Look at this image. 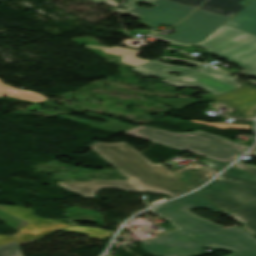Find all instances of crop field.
I'll return each mask as SVG.
<instances>
[{"label": "crop field", "instance_id": "1", "mask_svg": "<svg viewBox=\"0 0 256 256\" xmlns=\"http://www.w3.org/2000/svg\"><path fill=\"white\" fill-rule=\"evenodd\" d=\"M201 207L221 212L197 192L151 209L179 230L166 232L153 241H141L142 249L154 256H196L204 254L202 246L234 252L227 256H256V239L242 227L225 230L204 220L190 209Z\"/></svg>", "mask_w": 256, "mask_h": 256}, {"label": "crop field", "instance_id": "2", "mask_svg": "<svg viewBox=\"0 0 256 256\" xmlns=\"http://www.w3.org/2000/svg\"><path fill=\"white\" fill-rule=\"evenodd\" d=\"M98 155L115 166L129 180H93L91 182H59V186L83 197L93 198L101 188H121L125 191H150L169 195L171 198L190 190L163 164H152L125 142L89 145ZM114 167V168H115Z\"/></svg>", "mask_w": 256, "mask_h": 256}, {"label": "crop field", "instance_id": "3", "mask_svg": "<svg viewBox=\"0 0 256 256\" xmlns=\"http://www.w3.org/2000/svg\"><path fill=\"white\" fill-rule=\"evenodd\" d=\"M139 138L151 140L166 146L188 150L200 156L224 163H231L240 156L248 146L203 131L192 133H170L147 125L125 131Z\"/></svg>", "mask_w": 256, "mask_h": 256}, {"label": "crop field", "instance_id": "4", "mask_svg": "<svg viewBox=\"0 0 256 256\" xmlns=\"http://www.w3.org/2000/svg\"><path fill=\"white\" fill-rule=\"evenodd\" d=\"M194 46L204 47L213 55L245 69L238 74L256 78V36L224 24L202 43Z\"/></svg>", "mask_w": 256, "mask_h": 256}, {"label": "crop field", "instance_id": "5", "mask_svg": "<svg viewBox=\"0 0 256 256\" xmlns=\"http://www.w3.org/2000/svg\"><path fill=\"white\" fill-rule=\"evenodd\" d=\"M0 209L29 222V225L19 229V233L11 237L0 235V245L16 240L19 245L30 243L34 240L40 239L52 232H76L86 234L92 238L105 239V237H111L113 232L105 231L102 229L86 228L81 226H70L66 223L60 222L62 220H82L93 221L91 215L77 216L68 219L53 220V219H41L33 215L34 210L22 208L18 206H6L0 205ZM87 236V237H88Z\"/></svg>", "mask_w": 256, "mask_h": 256}, {"label": "crop field", "instance_id": "6", "mask_svg": "<svg viewBox=\"0 0 256 256\" xmlns=\"http://www.w3.org/2000/svg\"><path fill=\"white\" fill-rule=\"evenodd\" d=\"M198 193L229 214L256 201V179L232 166Z\"/></svg>", "mask_w": 256, "mask_h": 256}, {"label": "crop field", "instance_id": "7", "mask_svg": "<svg viewBox=\"0 0 256 256\" xmlns=\"http://www.w3.org/2000/svg\"><path fill=\"white\" fill-rule=\"evenodd\" d=\"M229 19L230 17L198 9L182 23L175 26L177 32L172 36L160 34L150 36L165 42L190 46L202 42Z\"/></svg>", "mask_w": 256, "mask_h": 256}, {"label": "crop field", "instance_id": "8", "mask_svg": "<svg viewBox=\"0 0 256 256\" xmlns=\"http://www.w3.org/2000/svg\"><path fill=\"white\" fill-rule=\"evenodd\" d=\"M182 74L183 75L178 77L167 78L162 82L173 86L199 87L214 94L202 96L206 98H211L215 95L242 86L235 82L237 78L230 77V75L211 67L199 68L196 69V71H188Z\"/></svg>", "mask_w": 256, "mask_h": 256}, {"label": "crop field", "instance_id": "9", "mask_svg": "<svg viewBox=\"0 0 256 256\" xmlns=\"http://www.w3.org/2000/svg\"><path fill=\"white\" fill-rule=\"evenodd\" d=\"M151 4L155 6L153 9L136 7L121 14L137 17L141 19L139 23L148 27H157L160 25L174 26L195 10V8L166 0H156Z\"/></svg>", "mask_w": 256, "mask_h": 256}, {"label": "crop field", "instance_id": "10", "mask_svg": "<svg viewBox=\"0 0 256 256\" xmlns=\"http://www.w3.org/2000/svg\"><path fill=\"white\" fill-rule=\"evenodd\" d=\"M211 99L228 103L245 118H254L256 115V88L251 86H242Z\"/></svg>", "mask_w": 256, "mask_h": 256}, {"label": "crop field", "instance_id": "11", "mask_svg": "<svg viewBox=\"0 0 256 256\" xmlns=\"http://www.w3.org/2000/svg\"><path fill=\"white\" fill-rule=\"evenodd\" d=\"M161 58H169V59H174V60L197 64V65L203 64V63H199V62H195V61H191V60L179 59V58L168 57V56H163ZM187 69H190V68L175 67V66H171L169 64L161 63V62L154 60V61L144 63L142 65H139V66L133 68L132 70L142 74L143 76H156V77L165 78V77L171 76V75H169V73H179V72H182Z\"/></svg>", "mask_w": 256, "mask_h": 256}, {"label": "crop field", "instance_id": "12", "mask_svg": "<svg viewBox=\"0 0 256 256\" xmlns=\"http://www.w3.org/2000/svg\"><path fill=\"white\" fill-rule=\"evenodd\" d=\"M174 173L194 189L208 181L215 174L195 162L174 171Z\"/></svg>", "mask_w": 256, "mask_h": 256}, {"label": "crop field", "instance_id": "13", "mask_svg": "<svg viewBox=\"0 0 256 256\" xmlns=\"http://www.w3.org/2000/svg\"><path fill=\"white\" fill-rule=\"evenodd\" d=\"M225 24L256 35V0L249 3L241 12Z\"/></svg>", "mask_w": 256, "mask_h": 256}, {"label": "crop field", "instance_id": "14", "mask_svg": "<svg viewBox=\"0 0 256 256\" xmlns=\"http://www.w3.org/2000/svg\"><path fill=\"white\" fill-rule=\"evenodd\" d=\"M251 1L252 0H208L200 9L232 17Z\"/></svg>", "mask_w": 256, "mask_h": 256}, {"label": "crop field", "instance_id": "15", "mask_svg": "<svg viewBox=\"0 0 256 256\" xmlns=\"http://www.w3.org/2000/svg\"><path fill=\"white\" fill-rule=\"evenodd\" d=\"M244 223L243 228L256 237V202L228 215Z\"/></svg>", "mask_w": 256, "mask_h": 256}, {"label": "crop field", "instance_id": "16", "mask_svg": "<svg viewBox=\"0 0 256 256\" xmlns=\"http://www.w3.org/2000/svg\"><path fill=\"white\" fill-rule=\"evenodd\" d=\"M41 104L47 105V106H50V107H53V108H56V109H60V110H69L67 108H63L61 106L56 105L54 102H52L50 100L41 102ZM70 111H72V110H70ZM83 114H87V115H90V116L101 118V119L107 120L109 122L99 124V123H96V122H93V121H89V120H86V119L73 117V116H69V115H59V118L71 120V121H74V122H77V123H80V124H83V125H86V126H90V127H93V128H98V127L107 125L109 123L119 121V120H116V119H112V118H109V117H106V116H102V115H98V114H94V113H90V112H86V113H83Z\"/></svg>", "mask_w": 256, "mask_h": 256}, {"label": "crop field", "instance_id": "17", "mask_svg": "<svg viewBox=\"0 0 256 256\" xmlns=\"http://www.w3.org/2000/svg\"><path fill=\"white\" fill-rule=\"evenodd\" d=\"M2 81L3 80L0 79V97L3 95H8L14 98L30 100L34 102H41L47 100V98L43 97L41 94L33 93L26 90H18L8 85L1 84Z\"/></svg>", "mask_w": 256, "mask_h": 256}, {"label": "crop field", "instance_id": "18", "mask_svg": "<svg viewBox=\"0 0 256 256\" xmlns=\"http://www.w3.org/2000/svg\"><path fill=\"white\" fill-rule=\"evenodd\" d=\"M149 98L156 101L160 99L159 102H162L164 104L170 105L175 108H183L195 102V98H162V97H157V98L149 97ZM177 105H179V107H176Z\"/></svg>", "mask_w": 256, "mask_h": 256}, {"label": "crop field", "instance_id": "19", "mask_svg": "<svg viewBox=\"0 0 256 256\" xmlns=\"http://www.w3.org/2000/svg\"><path fill=\"white\" fill-rule=\"evenodd\" d=\"M20 246L16 241L0 246V256H21Z\"/></svg>", "mask_w": 256, "mask_h": 256}, {"label": "crop field", "instance_id": "20", "mask_svg": "<svg viewBox=\"0 0 256 256\" xmlns=\"http://www.w3.org/2000/svg\"><path fill=\"white\" fill-rule=\"evenodd\" d=\"M141 52H142V51H140V50L133 51V52H131V53H129V54L123 56V57L121 58V62H122V63H125V64H129V65L137 66V65H139V64H142V63H144V62L149 61V60H144V59H141V58L136 57V55H137L138 53H141Z\"/></svg>", "mask_w": 256, "mask_h": 256}, {"label": "crop field", "instance_id": "21", "mask_svg": "<svg viewBox=\"0 0 256 256\" xmlns=\"http://www.w3.org/2000/svg\"><path fill=\"white\" fill-rule=\"evenodd\" d=\"M132 127H134V126H130V125H127L125 123L119 122L117 124H114V125H111V126H108V127L100 128L99 130H103V131L118 134V133H120L122 131H125L127 129H130Z\"/></svg>", "mask_w": 256, "mask_h": 256}, {"label": "crop field", "instance_id": "22", "mask_svg": "<svg viewBox=\"0 0 256 256\" xmlns=\"http://www.w3.org/2000/svg\"><path fill=\"white\" fill-rule=\"evenodd\" d=\"M191 121L196 122V123L205 124V125L220 127L223 129H228V128L251 129L247 125H237V124H227V123H208V122H199V121H195V120H191Z\"/></svg>", "mask_w": 256, "mask_h": 256}, {"label": "crop field", "instance_id": "23", "mask_svg": "<svg viewBox=\"0 0 256 256\" xmlns=\"http://www.w3.org/2000/svg\"><path fill=\"white\" fill-rule=\"evenodd\" d=\"M85 46L86 47H92V48H98V49H104L105 53L116 54V55H122V54L132 50V49H127V48H121V47H118V46H115V47H112V48L91 46V45H85Z\"/></svg>", "mask_w": 256, "mask_h": 256}, {"label": "crop field", "instance_id": "24", "mask_svg": "<svg viewBox=\"0 0 256 256\" xmlns=\"http://www.w3.org/2000/svg\"><path fill=\"white\" fill-rule=\"evenodd\" d=\"M233 166H235V167L245 171L246 173L256 177V166L246 165V164L242 163L241 161L237 162Z\"/></svg>", "mask_w": 256, "mask_h": 256}, {"label": "crop field", "instance_id": "25", "mask_svg": "<svg viewBox=\"0 0 256 256\" xmlns=\"http://www.w3.org/2000/svg\"><path fill=\"white\" fill-rule=\"evenodd\" d=\"M176 3L188 5L197 8L199 5H201L205 0H170Z\"/></svg>", "mask_w": 256, "mask_h": 256}, {"label": "crop field", "instance_id": "26", "mask_svg": "<svg viewBox=\"0 0 256 256\" xmlns=\"http://www.w3.org/2000/svg\"><path fill=\"white\" fill-rule=\"evenodd\" d=\"M135 1H141V2H144V3H148V2H151L153 0H127L126 4L124 6L127 7L128 9L134 8V7L137 6L134 3ZM128 9H119L118 12L121 13V12L126 11Z\"/></svg>", "mask_w": 256, "mask_h": 256}, {"label": "crop field", "instance_id": "27", "mask_svg": "<svg viewBox=\"0 0 256 256\" xmlns=\"http://www.w3.org/2000/svg\"><path fill=\"white\" fill-rule=\"evenodd\" d=\"M90 1L96 2V3H98V4H100V3H105V4H109V5H113V6L118 5V3H114V2H111V1H109V0H90Z\"/></svg>", "mask_w": 256, "mask_h": 256}, {"label": "crop field", "instance_id": "28", "mask_svg": "<svg viewBox=\"0 0 256 256\" xmlns=\"http://www.w3.org/2000/svg\"><path fill=\"white\" fill-rule=\"evenodd\" d=\"M135 32L141 33V34L152 33V32L144 31V30H140V29L135 30Z\"/></svg>", "mask_w": 256, "mask_h": 256}, {"label": "crop field", "instance_id": "29", "mask_svg": "<svg viewBox=\"0 0 256 256\" xmlns=\"http://www.w3.org/2000/svg\"><path fill=\"white\" fill-rule=\"evenodd\" d=\"M250 153H252V154H256V147L255 148H253L252 150H251V152Z\"/></svg>", "mask_w": 256, "mask_h": 256}, {"label": "crop field", "instance_id": "30", "mask_svg": "<svg viewBox=\"0 0 256 256\" xmlns=\"http://www.w3.org/2000/svg\"><path fill=\"white\" fill-rule=\"evenodd\" d=\"M111 1H114V2H116L115 0H111Z\"/></svg>", "mask_w": 256, "mask_h": 256}, {"label": "crop field", "instance_id": "31", "mask_svg": "<svg viewBox=\"0 0 256 256\" xmlns=\"http://www.w3.org/2000/svg\"><path fill=\"white\" fill-rule=\"evenodd\" d=\"M1 1V0H0Z\"/></svg>", "mask_w": 256, "mask_h": 256}]
</instances>
